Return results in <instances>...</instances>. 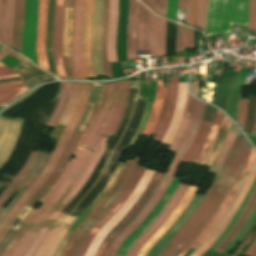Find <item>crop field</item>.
<instances>
[{
	"label": "crop field",
	"instance_id": "obj_1",
	"mask_svg": "<svg viewBox=\"0 0 256 256\" xmlns=\"http://www.w3.org/2000/svg\"><path fill=\"white\" fill-rule=\"evenodd\" d=\"M94 84L91 99L87 101L85 106L84 114L77 125L75 131L73 132L67 146L65 152L59 161L58 165L49 176V178L43 183V185L37 190V192L30 198V200L26 203L25 206L33 208L35 204L45 195V193L50 189V187L55 183L61 174L62 170L66 166L69 157L74 150L78 140L80 139L84 128L86 127L94 109L98 101L101 84ZM128 81H119L109 85H102L101 93L98 101V105L95 109V112L87 125L81 139L79 140L73 154H75V159H71L65 167L64 171L60 175L59 179L56 183L51 187V189L46 193V195L40 200V202L44 203L38 210L33 209L34 211L52 216L57 218L59 213L66 207L67 203L71 201V199L77 194V192L81 189L84 183L87 181L89 176L91 175L93 169L99 162L104 150L106 149L105 145L108 138H101V136H109L114 134L119 121L121 119L122 113L125 107H108V108H100L103 95L105 90L112 89H129ZM129 90H113L106 91L104 100L101 107L107 106H125L127 101ZM91 103L90 104H88ZM90 105V108H89ZM89 108V111H88ZM88 111V114H87ZM87 114L86 119L84 120ZM84 120V122H83ZM83 122V124H82ZM82 124V127H80ZM88 148L94 150L83 149ZM65 202H62V201ZM55 199V200H54ZM54 200V202H53ZM53 202V203H52ZM52 203V204H51ZM51 204V205H50ZM50 205V206H49ZM23 207L18 217L21 218L20 221L16 218L12 225L10 226L6 236L0 243V256L3 254L5 248L14 238L18 229L20 228L23 220L27 217V215L32 210L28 207ZM49 206V208H48ZM52 210L48 211L46 210ZM42 215L36 212H31L30 215L26 218V221L39 224L45 227L50 228L52 223L55 221V218ZM19 221V222H18ZM23 222L22 227L18 231L15 238L7 247L6 251L2 256H32L36 251L38 245L40 244L42 238L48 231V228L35 225L29 222ZM18 222V224H17ZM17 224V225H16ZM16 225L17 228H14Z\"/></svg>",
	"mask_w": 256,
	"mask_h": 256
},
{
	"label": "crop field",
	"instance_id": "obj_2",
	"mask_svg": "<svg viewBox=\"0 0 256 256\" xmlns=\"http://www.w3.org/2000/svg\"><path fill=\"white\" fill-rule=\"evenodd\" d=\"M250 147V144L238 131L236 139L209 191L200 202L194 214L162 248L157 256H178L207 224L223 200Z\"/></svg>",
	"mask_w": 256,
	"mask_h": 256
},
{
	"label": "crop field",
	"instance_id": "obj_3",
	"mask_svg": "<svg viewBox=\"0 0 256 256\" xmlns=\"http://www.w3.org/2000/svg\"><path fill=\"white\" fill-rule=\"evenodd\" d=\"M166 21L157 18L136 0L129 1L127 57L136 50H150V57L165 55Z\"/></svg>",
	"mask_w": 256,
	"mask_h": 256
},
{
	"label": "crop field",
	"instance_id": "obj_4",
	"mask_svg": "<svg viewBox=\"0 0 256 256\" xmlns=\"http://www.w3.org/2000/svg\"><path fill=\"white\" fill-rule=\"evenodd\" d=\"M205 103L198 100L196 109L194 112L193 119L190 124L189 132L182 142L167 174L165 175L164 179L162 180L159 187L154 192L153 196L146 204V206L142 209V211L135 217V219L127 226V228L113 241L108 253L106 256H115L120 244L142 223L145 217L149 214L155 204L163 195L165 189L167 188L168 184L172 180L183 156L185 155L189 145L191 144L192 140L194 139L199 125L202 120L203 112L205 109ZM191 146V145H190Z\"/></svg>",
	"mask_w": 256,
	"mask_h": 256
},
{
	"label": "crop field",
	"instance_id": "obj_5",
	"mask_svg": "<svg viewBox=\"0 0 256 256\" xmlns=\"http://www.w3.org/2000/svg\"><path fill=\"white\" fill-rule=\"evenodd\" d=\"M91 88V83H82L79 100L77 107L68 123L66 128L64 129L56 148L54 149L52 155L50 156L45 168L43 169L40 176L32 183V185L23 193L20 199L17 201L9 215L7 216L6 220L3 223L2 228L0 229V241L3 239L7 229L11 225L14 218L17 216L19 211L21 210L22 206L28 201V199L34 194V192L41 186V184L47 179V177L51 174L52 170L54 169L55 165L57 164L58 160L60 159L62 152L64 150L65 144L70 137L71 133L73 132L80 115L84 109L86 101L89 96Z\"/></svg>",
	"mask_w": 256,
	"mask_h": 256
},
{
	"label": "crop field",
	"instance_id": "obj_6",
	"mask_svg": "<svg viewBox=\"0 0 256 256\" xmlns=\"http://www.w3.org/2000/svg\"><path fill=\"white\" fill-rule=\"evenodd\" d=\"M250 0H210L207 35L231 31V24L248 25Z\"/></svg>",
	"mask_w": 256,
	"mask_h": 256
},
{
	"label": "crop field",
	"instance_id": "obj_7",
	"mask_svg": "<svg viewBox=\"0 0 256 256\" xmlns=\"http://www.w3.org/2000/svg\"><path fill=\"white\" fill-rule=\"evenodd\" d=\"M256 162V151L251 148L249 151L245 161L243 162L238 174L236 175L226 197L222 201L220 207L216 211L213 218L208 222V224L203 228L200 234L195 238V240L185 248L179 256H183V254L191 248H198L202 244H204L208 238L213 234L216 230L224 216L226 215L227 211L231 207L234 199L236 198L237 194L239 193L241 187L243 186L244 182L246 181L249 173L251 172L254 164Z\"/></svg>",
	"mask_w": 256,
	"mask_h": 256
},
{
	"label": "crop field",
	"instance_id": "obj_8",
	"mask_svg": "<svg viewBox=\"0 0 256 256\" xmlns=\"http://www.w3.org/2000/svg\"><path fill=\"white\" fill-rule=\"evenodd\" d=\"M137 97H138V94H137ZM137 97H136V101H137ZM136 101H135V104H136ZM135 104H134V108H135ZM134 108H133V112H134ZM133 112H132V115H131V119H132V116H133ZM131 119H130V121H131ZM122 136H121V138H122ZM121 138H120V140H121ZM120 140H119V142H120ZM119 142H118V144H119ZM118 144H117V146H118ZM117 146H116V148H117ZM102 173H101V175H102ZM100 176H99V178H100ZM99 178H98V180H99ZM96 182L94 183V185L96 184ZM93 186L83 196V198L77 203V205L72 209V211H74L75 208L82 202V200L90 192V190L93 188ZM70 213L69 214L61 213L59 215V217L56 219L55 223L49 229L48 233L46 234L45 238L43 239L42 243L40 244L39 248L37 249V251L35 252V254L33 256H53L55 250L57 249L59 243L61 242L63 236L65 235L67 229L72 224V222L79 217V216H75V215H70Z\"/></svg>",
	"mask_w": 256,
	"mask_h": 256
},
{
	"label": "crop field",
	"instance_id": "obj_9",
	"mask_svg": "<svg viewBox=\"0 0 256 256\" xmlns=\"http://www.w3.org/2000/svg\"><path fill=\"white\" fill-rule=\"evenodd\" d=\"M165 174L155 172L150 183L146 187L144 193L135 203L132 209L126 214V216L113 228V230L105 237L104 241L100 245L95 256H105L112 241L126 228V226L134 219V217L141 211L155 189L160 184Z\"/></svg>",
	"mask_w": 256,
	"mask_h": 256
},
{
	"label": "crop field",
	"instance_id": "obj_10",
	"mask_svg": "<svg viewBox=\"0 0 256 256\" xmlns=\"http://www.w3.org/2000/svg\"><path fill=\"white\" fill-rule=\"evenodd\" d=\"M144 170V167L138 166L126 188L123 190L115 203L110 207V209L94 224L92 229L89 230L74 256H84L88 246L95 238L100 228L112 218V216L122 207L127 198L133 192Z\"/></svg>",
	"mask_w": 256,
	"mask_h": 256
},
{
	"label": "crop field",
	"instance_id": "obj_11",
	"mask_svg": "<svg viewBox=\"0 0 256 256\" xmlns=\"http://www.w3.org/2000/svg\"><path fill=\"white\" fill-rule=\"evenodd\" d=\"M153 171L146 170L144 176L142 177L139 184L136 186L134 192L129 197V199L126 201V203L123 205V207L113 216V218L105 224L96 238L91 243L87 253L85 256H94L96 253L99 245L101 244L104 236L125 216V214L131 209V207L134 205V203L137 201V199L142 194L144 188L148 184L149 180L153 176Z\"/></svg>",
	"mask_w": 256,
	"mask_h": 256
},
{
	"label": "crop field",
	"instance_id": "obj_12",
	"mask_svg": "<svg viewBox=\"0 0 256 256\" xmlns=\"http://www.w3.org/2000/svg\"><path fill=\"white\" fill-rule=\"evenodd\" d=\"M83 6L84 0H75L72 35V56L75 78H85L82 62Z\"/></svg>",
	"mask_w": 256,
	"mask_h": 256
},
{
	"label": "crop field",
	"instance_id": "obj_13",
	"mask_svg": "<svg viewBox=\"0 0 256 256\" xmlns=\"http://www.w3.org/2000/svg\"><path fill=\"white\" fill-rule=\"evenodd\" d=\"M188 185L180 184L178 190L166 205L161 214L153 222V224L133 243L126 256H136L144 242L163 224L167 217L172 213L178 205L180 199L188 189Z\"/></svg>",
	"mask_w": 256,
	"mask_h": 256
},
{
	"label": "crop field",
	"instance_id": "obj_14",
	"mask_svg": "<svg viewBox=\"0 0 256 256\" xmlns=\"http://www.w3.org/2000/svg\"><path fill=\"white\" fill-rule=\"evenodd\" d=\"M22 121L0 118V167L7 161L20 132Z\"/></svg>",
	"mask_w": 256,
	"mask_h": 256
},
{
	"label": "crop field",
	"instance_id": "obj_15",
	"mask_svg": "<svg viewBox=\"0 0 256 256\" xmlns=\"http://www.w3.org/2000/svg\"><path fill=\"white\" fill-rule=\"evenodd\" d=\"M197 188L190 186L186 194L181 199L179 205L173 211V213L168 217L165 223L161 226V228L154 233L143 245L140 252L137 256H146L148 251L153 247V245L166 233V231L173 225V223L179 218V216L183 213V211L188 206L191 198L195 194Z\"/></svg>",
	"mask_w": 256,
	"mask_h": 256
},
{
	"label": "crop field",
	"instance_id": "obj_16",
	"mask_svg": "<svg viewBox=\"0 0 256 256\" xmlns=\"http://www.w3.org/2000/svg\"><path fill=\"white\" fill-rule=\"evenodd\" d=\"M103 26V0H95V16L92 35V55L95 76H104L101 59V36Z\"/></svg>",
	"mask_w": 256,
	"mask_h": 256
},
{
	"label": "crop field",
	"instance_id": "obj_17",
	"mask_svg": "<svg viewBox=\"0 0 256 256\" xmlns=\"http://www.w3.org/2000/svg\"><path fill=\"white\" fill-rule=\"evenodd\" d=\"M63 8L64 0H56L53 32V55L57 76L65 78V71L62 63Z\"/></svg>",
	"mask_w": 256,
	"mask_h": 256
},
{
	"label": "crop field",
	"instance_id": "obj_18",
	"mask_svg": "<svg viewBox=\"0 0 256 256\" xmlns=\"http://www.w3.org/2000/svg\"><path fill=\"white\" fill-rule=\"evenodd\" d=\"M94 15V0H85L84 6V38H83V61L86 78L94 76L91 56V34Z\"/></svg>",
	"mask_w": 256,
	"mask_h": 256
},
{
	"label": "crop field",
	"instance_id": "obj_19",
	"mask_svg": "<svg viewBox=\"0 0 256 256\" xmlns=\"http://www.w3.org/2000/svg\"><path fill=\"white\" fill-rule=\"evenodd\" d=\"M141 159H138V156L134 159L132 162L124 180L119 185V187L116 189L114 194L111 196V198L108 200V202L104 205V207L100 210V212L82 229L79 236L77 237L72 249L68 253L67 256H73L75 251L77 250L78 246L80 245L81 241L83 240L84 236L88 232L89 229L93 226V224L109 209V207L114 203V201L117 199V197L120 195L124 187L129 182L131 176L133 175L137 165L139 164Z\"/></svg>",
	"mask_w": 256,
	"mask_h": 256
},
{
	"label": "crop field",
	"instance_id": "obj_20",
	"mask_svg": "<svg viewBox=\"0 0 256 256\" xmlns=\"http://www.w3.org/2000/svg\"><path fill=\"white\" fill-rule=\"evenodd\" d=\"M74 0H67V9H73ZM73 10H66V0L64 9V29H63V55H70V64L73 75L72 56H71V34H72ZM63 63L66 77L71 76L69 56H63ZM74 79V75L73 78Z\"/></svg>",
	"mask_w": 256,
	"mask_h": 256
},
{
	"label": "crop field",
	"instance_id": "obj_21",
	"mask_svg": "<svg viewBox=\"0 0 256 256\" xmlns=\"http://www.w3.org/2000/svg\"><path fill=\"white\" fill-rule=\"evenodd\" d=\"M48 0H39V14L36 36V53L39 66L48 69L47 58L45 54V34H46V13Z\"/></svg>",
	"mask_w": 256,
	"mask_h": 256
},
{
	"label": "crop field",
	"instance_id": "obj_22",
	"mask_svg": "<svg viewBox=\"0 0 256 256\" xmlns=\"http://www.w3.org/2000/svg\"><path fill=\"white\" fill-rule=\"evenodd\" d=\"M203 195H194L190 205L185 210V212L180 216V218L174 223V225L167 231V233L155 244V246L150 250L147 256H156L161 248L169 241V239L178 231V229L183 225V223L193 214L195 208L201 201Z\"/></svg>",
	"mask_w": 256,
	"mask_h": 256
},
{
	"label": "crop field",
	"instance_id": "obj_23",
	"mask_svg": "<svg viewBox=\"0 0 256 256\" xmlns=\"http://www.w3.org/2000/svg\"><path fill=\"white\" fill-rule=\"evenodd\" d=\"M118 21V0H109V20L107 28V57L109 61L117 62L116 58V28Z\"/></svg>",
	"mask_w": 256,
	"mask_h": 256
},
{
	"label": "crop field",
	"instance_id": "obj_24",
	"mask_svg": "<svg viewBox=\"0 0 256 256\" xmlns=\"http://www.w3.org/2000/svg\"><path fill=\"white\" fill-rule=\"evenodd\" d=\"M177 85H178V76H172L170 87H169L168 98H167V104L165 106L164 116L154 136V139L160 142L165 134L167 127L170 124V121L173 115L174 106H175L176 97H177V91H178Z\"/></svg>",
	"mask_w": 256,
	"mask_h": 256
},
{
	"label": "crop field",
	"instance_id": "obj_25",
	"mask_svg": "<svg viewBox=\"0 0 256 256\" xmlns=\"http://www.w3.org/2000/svg\"><path fill=\"white\" fill-rule=\"evenodd\" d=\"M252 195V194H251ZM251 197V196H250ZM256 206V189L246 204L241 216L236 222L235 226L230 230V232L226 235V237L221 241V243L214 249V251L222 253L223 250L227 247V245L232 241V239L238 234V232L243 228L246 224L249 216L251 215L254 207Z\"/></svg>",
	"mask_w": 256,
	"mask_h": 256
},
{
	"label": "crop field",
	"instance_id": "obj_26",
	"mask_svg": "<svg viewBox=\"0 0 256 256\" xmlns=\"http://www.w3.org/2000/svg\"><path fill=\"white\" fill-rule=\"evenodd\" d=\"M196 101H197V99H195L194 97H192L191 95L188 94V99L186 102L185 111H184L182 121L180 123L179 129H178L172 143L168 147V150L177 152L181 142L183 141L184 137L186 136V134L188 132L189 124H190V121L193 116Z\"/></svg>",
	"mask_w": 256,
	"mask_h": 256
},
{
	"label": "crop field",
	"instance_id": "obj_27",
	"mask_svg": "<svg viewBox=\"0 0 256 256\" xmlns=\"http://www.w3.org/2000/svg\"><path fill=\"white\" fill-rule=\"evenodd\" d=\"M132 160H127L122 171L118 175L113 187L110 189V191L105 195V197L100 201V203L96 206V208L90 213V215L77 227V229L74 231L66 249L61 254V256H65L68 250L70 249L71 245L73 244L74 240L78 236L81 229L99 212V210L103 207V205L107 202V200L110 198V196L113 194L115 189L118 187V185L121 183L127 169L129 168Z\"/></svg>",
	"mask_w": 256,
	"mask_h": 256
},
{
	"label": "crop field",
	"instance_id": "obj_28",
	"mask_svg": "<svg viewBox=\"0 0 256 256\" xmlns=\"http://www.w3.org/2000/svg\"><path fill=\"white\" fill-rule=\"evenodd\" d=\"M256 176V167L252 173V175L250 176L246 186L244 187L242 193L240 194L239 198L237 199L234 207L232 208V210L230 211V213L228 214V216L225 218V220L223 221V223L221 224V226L218 228V230L213 234V236L210 238V240L208 241V243L206 245H204L201 249H199L197 252H195L193 255L191 256H201L202 254H204L209 248L210 246L215 242V240L220 236V234L224 231V229L228 226L230 220L232 219L233 215L235 214L237 208L239 207L240 203L242 202L243 198L245 197V195L247 194L254 178Z\"/></svg>",
	"mask_w": 256,
	"mask_h": 256
},
{
	"label": "crop field",
	"instance_id": "obj_29",
	"mask_svg": "<svg viewBox=\"0 0 256 256\" xmlns=\"http://www.w3.org/2000/svg\"><path fill=\"white\" fill-rule=\"evenodd\" d=\"M186 98H187L186 83L179 84V91H178V97H177V102L175 106V112H174L171 124L162 140L163 143L170 144L171 140L173 139L178 129L179 123L181 121Z\"/></svg>",
	"mask_w": 256,
	"mask_h": 256
},
{
	"label": "crop field",
	"instance_id": "obj_30",
	"mask_svg": "<svg viewBox=\"0 0 256 256\" xmlns=\"http://www.w3.org/2000/svg\"><path fill=\"white\" fill-rule=\"evenodd\" d=\"M49 158V155L42 153L39 161L37 162L36 166L34 167V169L32 170V172L30 173V175L27 177V179L20 184L16 190L20 191L18 193V195L15 197V199L12 201V203L9 205V207L7 209L5 208H1L0 210V227L4 221V219L6 218V216L8 215V213L10 212V210L12 209V207L14 206V204L16 203V201L18 200V198L21 196V194L29 187V185L39 176L40 172L42 171L47 159ZM32 185V184H31ZM30 185V186H31Z\"/></svg>",
	"mask_w": 256,
	"mask_h": 256
},
{
	"label": "crop field",
	"instance_id": "obj_31",
	"mask_svg": "<svg viewBox=\"0 0 256 256\" xmlns=\"http://www.w3.org/2000/svg\"><path fill=\"white\" fill-rule=\"evenodd\" d=\"M41 152L33 151L30 158L28 159L27 163L17 175V177L9 184V186L4 190V192L0 196V208L7 200V198L11 195V193L15 190V188L22 183L28 174L33 169L34 165L36 164Z\"/></svg>",
	"mask_w": 256,
	"mask_h": 256
},
{
	"label": "crop field",
	"instance_id": "obj_32",
	"mask_svg": "<svg viewBox=\"0 0 256 256\" xmlns=\"http://www.w3.org/2000/svg\"><path fill=\"white\" fill-rule=\"evenodd\" d=\"M230 124H231L230 120L226 116H224L223 121L219 127L217 136L214 140V143H213L211 149L207 152L206 156L204 157V159L201 163L202 165L210 167L220 146L222 145V143L224 142V140L226 138Z\"/></svg>",
	"mask_w": 256,
	"mask_h": 256
},
{
	"label": "crop field",
	"instance_id": "obj_33",
	"mask_svg": "<svg viewBox=\"0 0 256 256\" xmlns=\"http://www.w3.org/2000/svg\"><path fill=\"white\" fill-rule=\"evenodd\" d=\"M164 90H165V88L162 86V82L157 81L156 97L154 100V104H153L147 125L141 134L143 136L149 137L151 131L153 130V128L157 122L159 111H160V108H161V105L163 102Z\"/></svg>",
	"mask_w": 256,
	"mask_h": 256
},
{
	"label": "crop field",
	"instance_id": "obj_34",
	"mask_svg": "<svg viewBox=\"0 0 256 256\" xmlns=\"http://www.w3.org/2000/svg\"><path fill=\"white\" fill-rule=\"evenodd\" d=\"M223 116H224V114L221 111L217 110L214 121H213L210 131L208 133V136L205 139L204 143L202 144L201 148L199 149L195 159L193 160L194 163L200 164L204 155L210 149L211 143L217 133L219 124H220Z\"/></svg>",
	"mask_w": 256,
	"mask_h": 256
},
{
	"label": "crop field",
	"instance_id": "obj_35",
	"mask_svg": "<svg viewBox=\"0 0 256 256\" xmlns=\"http://www.w3.org/2000/svg\"><path fill=\"white\" fill-rule=\"evenodd\" d=\"M54 3H55V0H49L46 51H47V56H48L50 72L52 74L56 75L55 65H54L53 57H52V32H53V18H54Z\"/></svg>",
	"mask_w": 256,
	"mask_h": 256
},
{
	"label": "crop field",
	"instance_id": "obj_36",
	"mask_svg": "<svg viewBox=\"0 0 256 256\" xmlns=\"http://www.w3.org/2000/svg\"><path fill=\"white\" fill-rule=\"evenodd\" d=\"M24 0H16L13 46L21 50L23 31Z\"/></svg>",
	"mask_w": 256,
	"mask_h": 256
},
{
	"label": "crop field",
	"instance_id": "obj_37",
	"mask_svg": "<svg viewBox=\"0 0 256 256\" xmlns=\"http://www.w3.org/2000/svg\"><path fill=\"white\" fill-rule=\"evenodd\" d=\"M211 122L202 121L201 126L199 128L198 134L195 137L194 141L192 142L191 146L189 147L183 162L190 164L193 157L195 156L196 152L198 151L199 147L201 146L202 142L204 141L208 130L210 128Z\"/></svg>",
	"mask_w": 256,
	"mask_h": 256
},
{
	"label": "crop field",
	"instance_id": "obj_38",
	"mask_svg": "<svg viewBox=\"0 0 256 256\" xmlns=\"http://www.w3.org/2000/svg\"><path fill=\"white\" fill-rule=\"evenodd\" d=\"M71 83L72 82H63L59 102L56 106L54 113L52 114L46 125L55 127L57 121L59 120L61 114L63 113L66 107Z\"/></svg>",
	"mask_w": 256,
	"mask_h": 256
},
{
	"label": "crop field",
	"instance_id": "obj_39",
	"mask_svg": "<svg viewBox=\"0 0 256 256\" xmlns=\"http://www.w3.org/2000/svg\"><path fill=\"white\" fill-rule=\"evenodd\" d=\"M237 128L231 124V127H230V130H229V133L227 135V138L225 140V142L223 143V145L221 146L216 158L214 159L209 171H213V172H217L224 157L226 156L235 136H236V133H237Z\"/></svg>",
	"mask_w": 256,
	"mask_h": 256
},
{
	"label": "crop field",
	"instance_id": "obj_40",
	"mask_svg": "<svg viewBox=\"0 0 256 256\" xmlns=\"http://www.w3.org/2000/svg\"><path fill=\"white\" fill-rule=\"evenodd\" d=\"M195 31L178 25L175 52L194 47Z\"/></svg>",
	"mask_w": 256,
	"mask_h": 256
},
{
	"label": "crop field",
	"instance_id": "obj_41",
	"mask_svg": "<svg viewBox=\"0 0 256 256\" xmlns=\"http://www.w3.org/2000/svg\"><path fill=\"white\" fill-rule=\"evenodd\" d=\"M15 0H6V16L3 43L12 47Z\"/></svg>",
	"mask_w": 256,
	"mask_h": 256
},
{
	"label": "crop field",
	"instance_id": "obj_42",
	"mask_svg": "<svg viewBox=\"0 0 256 256\" xmlns=\"http://www.w3.org/2000/svg\"><path fill=\"white\" fill-rule=\"evenodd\" d=\"M80 85H81V83L73 82L69 100L67 103V107H66L63 115L61 116L60 120L58 121L59 124L66 125V123L68 122V120L77 104Z\"/></svg>",
	"mask_w": 256,
	"mask_h": 256
},
{
	"label": "crop field",
	"instance_id": "obj_43",
	"mask_svg": "<svg viewBox=\"0 0 256 256\" xmlns=\"http://www.w3.org/2000/svg\"><path fill=\"white\" fill-rule=\"evenodd\" d=\"M107 19H108V0H104V28H103V36H102V58H103L105 76L112 77L111 65H110V62H108L106 57Z\"/></svg>",
	"mask_w": 256,
	"mask_h": 256
},
{
	"label": "crop field",
	"instance_id": "obj_44",
	"mask_svg": "<svg viewBox=\"0 0 256 256\" xmlns=\"http://www.w3.org/2000/svg\"><path fill=\"white\" fill-rule=\"evenodd\" d=\"M207 0H198L197 1V7H196V27H199L201 29L204 28V12L206 8ZM190 15H191V0H188L187 4V17H186V23L189 24L190 22Z\"/></svg>",
	"mask_w": 256,
	"mask_h": 256
},
{
	"label": "crop field",
	"instance_id": "obj_45",
	"mask_svg": "<svg viewBox=\"0 0 256 256\" xmlns=\"http://www.w3.org/2000/svg\"><path fill=\"white\" fill-rule=\"evenodd\" d=\"M157 14L166 17L167 0H141Z\"/></svg>",
	"mask_w": 256,
	"mask_h": 256
},
{
	"label": "crop field",
	"instance_id": "obj_46",
	"mask_svg": "<svg viewBox=\"0 0 256 256\" xmlns=\"http://www.w3.org/2000/svg\"><path fill=\"white\" fill-rule=\"evenodd\" d=\"M41 71L42 70L35 67L33 64H31L29 62L26 65H24L23 67H21L20 69H18L16 72H18L22 76L23 81L25 82V81H27L28 79H30L31 77H33L34 75L38 74Z\"/></svg>",
	"mask_w": 256,
	"mask_h": 256
},
{
	"label": "crop field",
	"instance_id": "obj_47",
	"mask_svg": "<svg viewBox=\"0 0 256 256\" xmlns=\"http://www.w3.org/2000/svg\"><path fill=\"white\" fill-rule=\"evenodd\" d=\"M247 103H248V100L240 99L237 123L242 127V129L244 127V123L246 120Z\"/></svg>",
	"mask_w": 256,
	"mask_h": 256
},
{
	"label": "crop field",
	"instance_id": "obj_48",
	"mask_svg": "<svg viewBox=\"0 0 256 256\" xmlns=\"http://www.w3.org/2000/svg\"><path fill=\"white\" fill-rule=\"evenodd\" d=\"M248 29H256V0H251Z\"/></svg>",
	"mask_w": 256,
	"mask_h": 256
},
{
	"label": "crop field",
	"instance_id": "obj_49",
	"mask_svg": "<svg viewBox=\"0 0 256 256\" xmlns=\"http://www.w3.org/2000/svg\"><path fill=\"white\" fill-rule=\"evenodd\" d=\"M4 11H5V0H2V3H1V16H0V42H2V37H3Z\"/></svg>",
	"mask_w": 256,
	"mask_h": 256
},
{
	"label": "crop field",
	"instance_id": "obj_50",
	"mask_svg": "<svg viewBox=\"0 0 256 256\" xmlns=\"http://www.w3.org/2000/svg\"><path fill=\"white\" fill-rule=\"evenodd\" d=\"M8 53L12 54L14 57H16V58H18V59H20V60H22V61H24V62H26V63L29 62L28 60L22 58L21 56L17 55L16 53H14V52H12V51L6 49V48L0 53V60H1L3 57H5ZM12 55H11V56H12ZM26 63H25V64H26Z\"/></svg>",
	"mask_w": 256,
	"mask_h": 256
},
{
	"label": "crop field",
	"instance_id": "obj_51",
	"mask_svg": "<svg viewBox=\"0 0 256 256\" xmlns=\"http://www.w3.org/2000/svg\"><path fill=\"white\" fill-rule=\"evenodd\" d=\"M168 86H169V83H167L166 94H165V97H164V102H163L162 109H161V111H160V117H159L158 123H157L156 127L154 128V130L152 131V133H151L150 136H152V135L155 133V131L157 130V128H158V126H159V123H160V120H161V118H162V116H163L164 105H165V103H166V98H167Z\"/></svg>",
	"mask_w": 256,
	"mask_h": 256
},
{
	"label": "crop field",
	"instance_id": "obj_52",
	"mask_svg": "<svg viewBox=\"0 0 256 256\" xmlns=\"http://www.w3.org/2000/svg\"><path fill=\"white\" fill-rule=\"evenodd\" d=\"M244 256H256V240L252 243L249 249L245 252Z\"/></svg>",
	"mask_w": 256,
	"mask_h": 256
},
{
	"label": "crop field",
	"instance_id": "obj_53",
	"mask_svg": "<svg viewBox=\"0 0 256 256\" xmlns=\"http://www.w3.org/2000/svg\"><path fill=\"white\" fill-rule=\"evenodd\" d=\"M19 91H14V92H10V93L0 95V104L3 103L4 101H6L7 99H9L10 97L14 96Z\"/></svg>",
	"mask_w": 256,
	"mask_h": 256
},
{
	"label": "crop field",
	"instance_id": "obj_54",
	"mask_svg": "<svg viewBox=\"0 0 256 256\" xmlns=\"http://www.w3.org/2000/svg\"><path fill=\"white\" fill-rule=\"evenodd\" d=\"M196 1L197 0H192V15H191V22L190 24L194 26L195 23V7H196Z\"/></svg>",
	"mask_w": 256,
	"mask_h": 256
},
{
	"label": "crop field",
	"instance_id": "obj_55",
	"mask_svg": "<svg viewBox=\"0 0 256 256\" xmlns=\"http://www.w3.org/2000/svg\"><path fill=\"white\" fill-rule=\"evenodd\" d=\"M19 89H23L21 92H19L17 95H15L14 97H12L11 99L7 100L5 103L3 104H6L8 102H10L11 100H13L14 98H16L17 96H19L20 94H22L24 91H26L27 89L25 87H22V88H18V89H14V90H19ZM9 91H13V90H7V91H3V92H0L1 93H5V92H9ZM2 104V105H3Z\"/></svg>",
	"mask_w": 256,
	"mask_h": 256
},
{
	"label": "crop field",
	"instance_id": "obj_56",
	"mask_svg": "<svg viewBox=\"0 0 256 256\" xmlns=\"http://www.w3.org/2000/svg\"><path fill=\"white\" fill-rule=\"evenodd\" d=\"M8 74H15L12 70L7 67L0 68V76L1 75H8Z\"/></svg>",
	"mask_w": 256,
	"mask_h": 256
},
{
	"label": "crop field",
	"instance_id": "obj_57",
	"mask_svg": "<svg viewBox=\"0 0 256 256\" xmlns=\"http://www.w3.org/2000/svg\"><path fill=\"white\" fill-rule=\"evenodd\" d=\"M21 86H23V83L12 85V86H7V87H2V88H0V91L7 90V89H12V88H17V87H21Z\"/></svg>",
	"mask_w": 256,
	"mask_h": 256
},
{
	"label": "crop field",
	"instance_id": "obj_58",
	"mask_svg": "<svg viewBox=\"0 0 256 256\" xmlns=\"http://www.w3.org/2000/svg\"><path fill=\"white\" fill-rule=\"evenodd\" d=\"M187 0H178L177 7L186 8Z\"/></svg>",
	"mask_w": 256,
	"mask_h": 256
},
{
	"label": "crop field",
	"instance_id": "obj_59",
	"mask_svg": "<svg viewBox=\"0 0 256 256\" xmlns=\"http://www.w3.org/2000/svg\"><path fill=\"white\" fill-rule=\"evenodd\" d=\"M17 76H20V75L19 74H15V75L2 76V77H0V79H2V78H9V77H17Z\"/></svg>",
	"mask_w": 256,
	"mask_h": 256
},
{
	"label": "crop field",
	"instance_id": "obj_60",
	"mask_svg": "<svg viewBox=\"0 0 256 256\" xmlns=\"http://www.w3.org/2000/svg\"><path fill=\"white\" fill-rule=\"evenodd\" d=\"M18 79H21V78L18 77V78H12V79H4V80H0V82L11 81V80H18Z\"/></svg>",
	"mask_w": 256,
	"mask_h": 256
},
{
	"label": "crop field",
	"instance_id": "obj_61",
	"mask_svg": "<svg viewBox=\"0 0 256 256\" xmlns=\"http://www.w3.org/2000/svg\"><path fill=\"white\" fill-rule=\"evenodd\" d=\"M252 134L256 135V120H255V124H254V128H253Z\"/></svg>",
	"mask_w": 256,
	"mask_h": 256
},
{
	"label": "crop field",
	"instance_id": "obj_62",
	"mask_svg": "<svg viewBox=\"0 0 256 256\" xmlns=\"http://www.w3.org/2000/svg\"><path fill=\"white\" fill-rule=\"evenodd\" d=\"M19 81H22V80L0 83V85H1V84H7V83H13V82H19Z\"/></svg>",
	"mask_w": 256,
	"mask_h": 256
},
{
	"label": "crop field",
	"instance_id": "obj_63",
	"mask_svg": "<svg viewBox=\"0 0 256 256\" xmlns=\"http://www.w3.org/2000/svg\"><path fill=\"white\" fill-rule=\"evenodd\" d=\"M20 83V82H19ZM13 84H16V83H13ZM7 85H12V84H7ZM7 85H1L0 87H2V86H7Z\"/></svg>",
	"mask_w": 256,
	"mask_h": 256
},
{
	"label": "crop field",
	"instance_id": "obj_64",
	"mask_svg": "<svg viewBox=\"0 0 256 256\" xmlns=\"http://www.w3.org/2000/svg\"><path fill=\"white\" fill-rule=\"evenodd\" d=\"M4 64L0 63V66H3Z\"/></svg>",
	"mask_w": 256,
	"mask_h": 256
}]
</instances>
